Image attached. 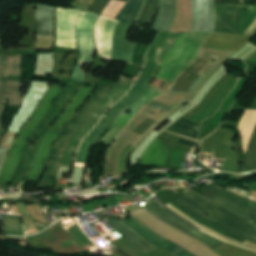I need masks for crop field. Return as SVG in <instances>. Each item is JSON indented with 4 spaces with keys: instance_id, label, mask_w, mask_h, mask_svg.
<instances>
[{
    "instance_id": "8a807250",
    "label": "crop field",
    "mask_w": 256,
    "mask_h": 256,
    "mask_svg": "<svg viewBox=\"0 0 256 256\" xmlns=\"http://www.w3.org/2000/svg\"><path fill=\"white\" fill-rule=\"evenodd\" d=\"M179 35L180 33L160 32L149 49L146 58V66L141 77L154 80L160 69L165 53ZM141 77L138 78L133 88L100 120L82 142L76 161L88 163L90 151L94 148L97 141L118 119L122 111L146 92L152 80Z\"/></svg>"
},
{
    "instance_id": "ac0d7876",
    "label": "crop field",
    "mask_w": 256,
    "mask_h": 256,
    "mask_svg": "<svg viewBox=\"0 0 256 256\" xmlns=\"http://www.w3.org/2000/svg\"><path fill=\"white\" fill-rule=\"evenodd\" d=\"M237 81H238L237 77L227 74L211 89V91L208 93V95L205 97L202 103L198 107H196L192 112L184 115L183 118L200 125V123L204 119L211 117L213 113L216 112L220 104L232 91ZM183 118H181L175 124H173L170 128H168L167 131L174 132V133L198 140L199 126ZM167 131H165V133L173 134ZM165 133H163L162 135L180 139L179 141L180 144H183L192 148H194L197 145V142H195L196 140L191 141L193 139L187 140L189 138L184 139L186 137L180 138L183 136L173 134L176 136H180V137H176V136L165 134Z\"/></svg>"
},
{
    "instance_id": "34b2d1b8",
    "label": "crop field",
    "mask_w": 256,
    "mask_h": 256,
    "mask_svg": "<svg viewBox=\"0 0 256 256\" xmlns=\"http://www.w3.org/2000/svg\"><path fill=\"white\" fill-rule=\"evenodd\" d=\"M191 213L223 228L240 237L256 242V229L252 224L234 214H231L217 206L203 200L195 194L189 192L181 197H177L175 201ZM216 208V209H214ZM214 209V210H212ZM212 210L211 215L215 216L212 219L206 217L202 213Z\"/></svg>"
},
{
    "instance_id": "412701ff",
    "label": "crop field",
    "mask_w": 256,
    "mask_h": 256,
    "mask_svg": "<svg viewBox=\"0 0 256 256\" xmlns=\"http://www.w3.org/2000/svg\"><path fill=\"white\" fill-rule=\"evenodd\" d=\"M95 87H82L80 91L76 94L73 102L65 109L57 123L52 127V129L47 133L42 144L40 145L36 158L30 169L26 180L39 182L42 177L47 158L50 154L51 144L55 142L57 137L62 132L64 126L70 121L82 103L87 99Z\"/></svg>"
},
{
    "instance_id": "f4fd0767",
    "label": "crop field",
    "mask_w": 256,
    "mask_h": 256,
    "mask_svg": "<svg viewBox=\"0 0 256 256\" xmlns=\"http://www.w3.org/2000/svg\"><path fill=\"white\" fill-rule=\"evenodd\" d=\"M61 91L62 90L57 85H53L43 97L31 120L24 126L20 135L16 138L6 166L2 172L0 181L7 183L11 182L18 166L22 150L25 146V141L32 134L38 123L46 115Z\"/></svg>"
},
{
    "instance_id": "dd49c442",
    "label": "crop field",
    "mask_w": 256,
    "mask_h": 256,
    "mask_svg": "<svg viewBox=\"0 0 256 256\" xmlns=\"http://www.w3.org/2000/svg\"><path fill=\"white\" fill-rule=\"evenodd\" d=\"M133 83V80L122 75L119 83L109 92V94L104 98V100L72 138L63 155L61 166L72 165L73 157L80 141L101 119L102 115L123 97V95L131 88Z\"/></svg>"
},
{
    "instance_id": "e52e79f7",
    "label": "crop field",
    "mask_w": 256,
    "mask_h": 256,
    "mask_svg": "<svg viewBox=\"0 0 256 256\" xmlns=\"http://www.w3.org/2000/svg\"><path fill=\"white\" fill-rule=\"evenodd\" d=\"M112 86H103L99 85V88L96 90L95 93L91 95V97L87 100V102L82 106L79 112L74 116L59 138L56 140L51 156L47 163V170L46 174L54 177L57 172L58 164L61 160V156L63 150L69 141V139L73 136L76 129L82 124L84 119L89 116V114L93 111V109L98 105V103L102 100L105 96L107 91ZM109 92V91H108ZM86 120V119H85ZM58 141L61 142V145H58Z\"/></svg>"
},
{
    "instance_id": "d8731c3e",
    "label": "crop field",
    "mask_w": 256,
    "mask_h": 256,
    "mask_svg": "<svg viewBox=\"0 0 256 256\" xmlns=\"http://www.w3.org/2000/svg\"><path fill=\"white\" fill-rule=\"evenodd\" d=\"M99 15L83 12L76 25L79 59L73 70L72 78L84 82L81 70L84 62H92L95 53L93 29Z\"/></svg>"
},
{
    "instance_id": "5a996713",
    "label": "crop field",
    "mask_w": 256,
    "mask_h": 256,
    "mask_svg": "<svg viewBox=\"0 0 256 256\" xmlns=\"http://www.w3.org/2000/svg\"><path fill=\"white\" fill-rule=\"evenodd\" d=\"M81 13V11L77 10L57 8L55 22L56 45L77 49L75 23Z\"/></svg>"
},
{
    "instance_id": "3316defc",
    "label": "crop field",
    "mask_w": 256,
    "mask_h": 256,
    "mask_svg": "<svg viewBox=\"0 0 256 256\" xmlns=\"http://www.w3.org/2000/svg\"><path fill=\"white\" fill-rule=\"evenodd\" d=\"M146 209L150 211L153 215H155L157 218H159L161 221L202 241L207 246H209L212 250L224 242V241L221 242L218 239L196 229L195 227L187 224L183 219L176 216L175 214L165 211L154 204L148 206Z\"/></svg>"
},
{
    "instance_id": "28ad6ade",
    "label": "crop field",
    "mask_w": 256,
    "mask_h": 256,
    "mask_svg": "<svg viewBox=\"0 0 256 256\" xmlns=\"http://www.w3.org/2000/svg\"><path fill=\"white\" fill-rule=\"evenodd\" d=\"M245 6L215 5L214 32L238 35Z\"/></svg>"
},
{
    "instance_id": "d1516ede",
    "label": "crop field",
    "mask_w": 256,
    "mask_h": 256,
    "mask_svg": "<svg viewBox=\"0 0 256 256\" xmlns=\"http://www.w3.org/2000/svg\"><path fill=\"white\" fill-rule=\"evenodd\" d=\"M47 87L48 82H32L31 88L26 94L22 106L16 117L13 119L8 131L19 133L20 129L30 117Z\"/></svg>"
},
{
    "instance_id": "22f410ed",
    "label": "crop field",
    "mask_w": 256,
    "mask_h": 256,
    "mask_svg": "<svg viewBox=\"0 0 256 256\" xmlns=\"http://www.w3.org/2000/svg\"><path fill=\"white\" fill-rule=\"evenodd\" d=\"M118 20L100 16L95 26L96 46L98 57L112 59L113 37Z\"/></svg>"
},
{
    "instance_id": "cbeb9de0",
    "label": "crop field",
    "mask_w": 256,
    "mask_h": 256,
    "mask_svg": "<svg viewBox=\"0 0 256 256\" xmlns=\"http://www.w3.org/2000/svg\"><path fill=\"white\" fill-rule=\"evenodd\" d=\"M193 4V31H209L214 29V1L192 0Z\"/></svg>"
},
{
    "instance_id": "5142ce71",
    "label": "crop field",
    "mask_w": 256,
    "mask_h": 256,
    "mask_svg": "<svg viewBox=\"0 0 256 256\" xmlns=\"http://www.w3.org/2000/svg\"><path fill=\"white\" fill-rule=\"evenodd\" d=\"M123 222H125L127 225H129L131 228H133L135 231L141 234L148 241L167 250L168 252L175 256H194L191 253L184 250L183 248H181L180 246L157 236L156 234L148 230L145 226H143L139 221L134 219L132 216Z\"/></svg>"
},
{
    "instance_id": "d9b57169",
    "label": "crop field",
    "mask_w": 256,
    "mask_h": 256,
    "mask_svg": "<svg viewBox=\"0 0 256 256\" xmlns=\"http://www.w3.org/2000/svg\"><path fill=\"white\" fill-rule=\"evenodd\" d=\"M130 26L131 25L121 21L116 28L113 60L132 63L133 52L137 44L126 41Z\"/></svg>"
},
{
    "instance_id": "733c2abd",
    "label": "crop field",
    "mask_w": 256,
    "mask_h": 256,
    "mask_svg": "<svg viewBox=\"0 0 256 256\" xmlns=\"http://www.w3.org/2000/svg\"><path fill=\"white\" fill-rule=\"evenodd\" d=\"M255 34L246 36H227L212 33L207 41L204 43L203 47L209 49H225L238 51Z\"/></svg>"
},
{
    "instance_id": "4a817a6b",
    "label": "crop field",
    "mask_w": 256,
    "mask_h": 256,
    "mask_svg": "<svg viewBox=\"0 0 256 256\" xmlns=\"http://www.w3.org/2000/svg\"><path fill=\"white\" fill-rule=\"evenodd\" d=\"M55 7L38 4L35 11L36 36H54Z\"/></svg>"
},
{
    "instance_id": "bc2a9ffb",
    "label": "crop field",
    "mask_w": 256,
    "mask_h": 256,
    "mask_svg": "<svg viewBox=\"0 0 256 256\" xmlns=\"http://www.w3.org/2000/svg\"><path fill=\"white\" fill-rule=\"evenodd\" d=\"M207 63L205 60L197 59L184 73L178 78L174 85L170 88V91L181 93L191 91V89L198 83L202 76L197 73Z\"/></svg>"
},
{
    "instance_id": "214f88e0",
    "label": "crop field",
    "mask_w": 256,
    "mask_h": 256,
    "mask_svg": "<svg viewBox=\"0 0 256 256\" xmlns=\"http://www.w3.org/2000/svg\"><path fill=\"white\" fill-rule=\"evenodd\" d=\"M6 98H10L9 105H20L23 98L21 95V80H0V131L2 132L1 118Z\"/></svg>"
},
{
    "instance_id": "92a150f3",
    "label": "crop field",
    "mask_w": 256,
    "mask_h": 256,
    "mask_svg": "<svg viewBox=\"0 0 256 256\" xmlns=\"http://www.w3.org/2000/svg\"><path fill=\"white\" fill-rule=\"evenodd\" d=\"M108 224L114 230H116L118 233H120L122 236H124L130 242H132L135 246H137L140 250L149 253L156 248V247L152 246L150 243H148L141 236H139L137 233H135L133 230H131L122 221L118 220L117 218L108 222Z\"/></svg>"
},
{
    "instance_id": "dafd665d",
    "label": "crop field",
    "mask_w": 256,
    "mask_h": 256,
    "mask_svg": "<svg viewBox=\"0 0 256 256\" xmlns=\"http://www.w3.org/2000/svg\"><path fill=\"white\" fill-rule=\"evenodd\" d=\"M167 157V150L157 139L147 149L140 160L142 166H164Z\"/></svg>"
},
{
    "instance_id": "00972430",
    "label": "crop field",
    "mask_w": 256,
    "mask_h": 256,
    "mask_svg": "<svg viewBox=\"0 0 256 256\" xmlns=\"http://www.w3.org/2000/svg\"><path fill=\"white\" fill-rule=\"evenodd\" d=\"M34 8H35V5L26 4L22 11V26L29 27V32H28V36H24V40L19 44V45L31 46V48L10 49V51L35 50Z\"/></svg>"
},
{
    "instance_id": "a9b5d70f",
    "label": "crop field",
    "mask_w": 256,
    "mask_h": 256,
    "mask_svg": "<svg viewBox=\"0 0 256 256\" xmlns=\"http://www.w3.org/2000/svg\"><path fill=\"white\" fill-rule=\"evenodd\" d=\"M174 11V0H161L156 20L151 29L167 31L172 22Z\"/></svg>"
},
{
    "instance_id": "4177f3b9",
    "label": "crop field",
    "mask_w": 256,
    "mask_h": 256,
    "mask_svg": "<svg viewBox=\"0 0 256 256\" xmlns=\"http://www.w3.org/2000/svg\"><path fill=\"white\" fill-rule=\"evenodd\" d=\"M20 76V55H0V77Z\"/></svg>"
},
{
    "instance_id": "730fd06b",
    "label": "crop field",
    "mask_w": 256,
    "mask_h": 256,
    "mask_svg": "<svg viewBox=\"0 0 256 256\" xmlns=\"http://www.w3.org/2000/svg\"><path fill=\"white\" fill-rule=\"evenodd\" d=\"M144 0H128L116 19L133 25L138 13L143 6Z\"/></svg>"
},
{
    "instance_id": "eef30255",
    "label": "crop field",
    "mask_w": 256,
    "mask_h": 256,
    "mask_svg": "<svg viewBox=\"0 0 256 256\" xmlns=\"http://www.w3.org/2000/svg\"><path fill=\"white\" fill-rule=\"evenodd\" d=\"M54 53L38 54L35 76H46V72L52 73Z\"/></svg>"
},
{
    "instance_id": "ae1a2a85",
    "label": "crop field",
    "mask_w": 256,
    "mask_h": 256,
    "mask_svg": "<svg viewBox=\"0 0 256 256\" xmlns=\"http://www.w3.org/2000/svg\"><path fill=\"white\" fill-rule=\"evenodd\" d=\"M215 189H216L218 195H220V196H222L240 206H243L245 208H248V209L256 212V204L255 203L246 200V198H244L242 196L232 193L233 191L229 192V191L223 190L221 188H215Z\"/></svg>"
},
{
    "instance_id": "d3111659",
    "label": "crop field",
    "mask_w": 256,
    "mask_h": 256,
    "mask_svg": "<svg viewBox=\"0 0 256 256\" xmlns=\"http://www.w3.org/2000/svg\"><path fill=\"white\" fill-rule=\"evenodd\" d=\"M3 216L5 231L10 235H25L20 217Z\"/></svg>"
},
{
    "instance_id": "750c4746",
    "label": "crop field",
    "mask_w": 256,
    "mask_h": 256,
    "mask_svg": "<svg viewBox=\"0 0 256 256\" xmlns=\"http://www.w3.org/2000/svg\"><path fill=\"white\" fill-rule=\"evenodd\" d=\"M213 202H215V203H217V204H219V205H221V206H223V207H225V208H227V209H229L247 219L250 218V219L256 221V213H252L236 204H233V203L219 197V196H217L213 200Z\"/></svg>"
},
{
    "instance_id": "bd1437ed",
    "label": "crop field",
    "mask_w": 256,
    "mask_h": 256,
    "mask_svg": "<svg viewBox=\"0 0 256 256\" xmlns=\"http://www.w3.org/2000/svg\"><path fill=\"white\" fill-rule=\"evenodd\" d=\"M159 2L160 0H145L144 8L138 20L152 23L158 10Z\"/></svg>"
},
{
    "instance_id": "1d83c4d3",
    "label": "crop field",
    "mask_w": 256,
    "mask_h": 256,
    "mask_svg": "<svg viewBox=\"0 0 256 256\" xmlns=\"http://www.w3.org/2000/svg\"><path fill=\"white\" fill-rule=\"evenodd\" d=\"M254 133L255 135L252 139L243 169H251L256 166V129Z\"/></svg>"
},
{
    "instance_id": "120bbe31",
    "label": "crop field",
    "mask_w": 256,
    "mask_h": 256,
    "mask_svg": "<svg viewBox=\"0 0 256 256\" xmlns=\"http://www.w3.org/2000/svg\"><path fill=\"white\" fill-rule=\"evenodd\" d=\"M124 4V2L111 0V2L108 4L102 15L115 18L117 14L120 12V10L123 8Z\"/></svg>"
},
{
    "instance_id": "d32e631a",
    "label": "crop field",
    "mask_w": 256,
    "mask_h": 256,
    "mask_svg": "<svg viewBox=\"0 0 256 256\" xmlns=\"http://www.w3.org/2000/svg\"><path fill=\"white\" fill-rule=\"evenodd\" d=\"M256 18V7L249 6L248 13L244 19L242 29H241V35L244 34V32L248 29V27L252 24V22Z\"/></svg>"
},
{
    "instance_id": "5866460e",
    "label": "crop field",
    "mask_w": 256,
    "mask_h": 256,
    "mask_svg": "<svg viewBox=\"0 0 256 256\" xmlns=\"http://www.w3.org/2000/svg\"><path fill=\"white\" fill-rule=\"evenodd\" d=\"M110 0H96L93 2V4L90 6L88 11L95 12L99 15L103 12L107 4L109 3Z\"/></svg>"
},
{
    "instance_id": "028f5c9d",
    "label": "crop field",
    "mask_w": 256,
    "mask_h": 256,
    "mask_svg": "<svg viewBox=\"0 0 256 256\" xmlns=\"http://www.w3.org/2000/svg\"><path fill=\"white\" fill-rule=\"evenodd\" d=\"M157 121L148 118L145 122H143L137 129L133 131V133H137L142 135L145 133L148 129H150Z\"/></svg>"
},
{
    "instance_id": "e1f06a70",
    "label": "crop field",
    "mask_w": 256,
    "mask_h": 256,
    "mask_svg": "<svg viewBox=\"0 0 256 256\" xmlns=\"http://www.w3.org/2000/svg\"><path fill=\"white\" fill-rule=\"evenodd\" d=\"M148 106H151V107H154V108L166 111V112H168L170 109L173 108V106H170L168 104H165V103H162V102H158V101H155V100L151 101L148 104Z\"/></svg>"
},
{
    "instance_id": "0bd39190",
    "label": "crop field",
    "mask_w": 256,
    "mask_h": 256,
    "mask_svg": "<svg viewBox=\"0 0 256 256\" xmlns=\"http://www.w3.org/2000/svg\"><path fill=\"white\" fill-rule=\"evenodd\" d=\"M94 0H76L72 6L81 7L83 9H88Z\"/></svg>"
},
{
    "instance_id": "b80d0937",
    "label": "crop field",
    "mask_w": 256,
    "mask_h": 256,
    "mask_svg": "<svg viewBox=\"0 0 256 256\" xmlns=\"http://www.w3.org/2000/svg\"><path fill=\"white\" fill-rule=\"evenodd\" d=\"M119 141V139L116 140V142L110 147V149L107 151V156H106V159H108V156H109V153L110 151L113 149V147L117 144V142ZM132 146V144H130L128 146V148L123 152L122 156H121V159H120V163H119V168H120V174H122L121 172V163H122V159H123V155L129 150V148Z\"/></svg>"
},
{
    "instance_id": "c035e120",
    "label": "crop field",
    "mask_w": 256,
    "mask_h": 256,
    "mask_svg": "<svg viewBox=\"0 0 256 256\" xmlns=\"http://www.w3.org/2000/svg\"><path fill=\"white\" fill-rule=\"evenodd\" d=\"M8 149L7 148H1L0 147V168L2 166V163H3V160H4V157L7 153Z\"/></svg>"
},
{
    "instance_id": "c21b1889",
    "label": "crop field",
    "mask_w": 256,
    "mask_h": 256,
    "mask_svg": "<svg viewBox=\"0 0 256 256\" xmlns=\"http://www.w3.org/2000/svg\"><path fill=\"white\" fill-rule=\"evenodd\" d=\"M254 29H256V20L253 22V24L249 27V29L245 32V34L251 33ZM244 34V35H245Z\"/></svg>"
},
{
    "instance_id": "03da06ac",
    "label": "crop field",
    "mask_w": 256,
    "mask_h": 256,
    "mask_svg": "<svg viewBox=\"0 0 256 256\" xmlns=\"http://www.w3.org/2000/svg\"><path fill=\"white\" fill-rule=\"evenodd\" d=\"M70 244H73V241H72V240L67 241V242H64V243H61V245H62L63 247L68 246V245H70Z\"/></svg>"
},
{
    "instance_id": "b54c1fbb",
    "label": "crop field",
    "mask_w": 256,
    "mask_h": 256,
    "mask_svg": "<svg viewBox=\"0 0 256 256\" xmlns=\"http://www.w3.org/2000/svg\"><path fill=\"white\" fill-rule=\"evenodd\" d=\"M251 222V221H250ZM255 227H256V224L255 223H253V222H251Z\"/></svg>"
},
{
    "instance_id": "5d738f31",
    "label": "crop field",
    "mask_w": 256,
    "mask_h": 256,
    "mask_svg": "<svg viewBox=\"0 0 256 256\" xmlns=\"http://www.w3.org/2000/svg\"><path fill=\"white\" fill-rule=\"evenodd\" d=\"M3 134L0 133V137L2 136Z\"/></svg>"
},
{
    "instance_id": "d23c7cc5",
    "label": "crop field",
    "mask_w": 256,
    "mask_h": 256,
    "mask_svg": "<svg viewBox=\"0 0 256 256\" xmlns=\"http://www.w3.org/2000/svg\"><path fill=\"white\" fill-rule=\"evenodd\" d=\"M0 43H1V38H0Z\"/></svg>"
}]
</instances>
